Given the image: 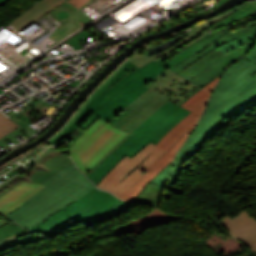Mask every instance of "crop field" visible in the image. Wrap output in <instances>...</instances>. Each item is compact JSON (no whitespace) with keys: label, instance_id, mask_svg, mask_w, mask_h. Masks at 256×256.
<instances>
[{"label":"crop field","instance_id":"obj_1","mask_svg":"<svg viewBox=\"0 0 256 256\" xmlns=\"http://www.w3.org/2000/svg\"><path fill=\"white\" fill-rule=\"evenodd\" d=\"M40 184L47 187L7 217L51 238L80 222L87 228L115 217L132 205L95 188L74 163Z\"/></svg>","mask_w":256,"mask_h":256},{"label":"crop field","instance_id":"obj_2","mask_svg":"<svg viewBox=\"0 0 256 256\" xmlns=\"http://www.w3.org/2000/svg\"><path fill=\"white\" fill-rule=\"evenodd\" d=\"M166 69L156 61L141 68L125 61L89 96L67 124L47 141V144L66 138L72 139L73 141L66 148L67 151L92 122L98 118L106 122L110 120L148 91L149 89L143 85Z\"/></svg>","mask_w":256,"mask_h":256},{"label":"crop field","instance_id":"obj_3","mask_svg":"<svg viewBox=\"0 0 256 256\" xmlns=\"http://www.w3.org/2000/svg\"><path fill=\"white\" fill-rule=\"evenodd\" d=\"M254 104L256 64L242 58L229 67L219 80L199 124L178 152L174 164L180 166L196 153L204 140L224 123V119H229Z\"/></svg>","mask_w":256,"mask_h":256},{"label":"crop field","instance_id":"obj_4","mask_svg":"<svg viewBox=\"0 0 256 256\" xmlns=\"http://www.w3.org/2000/svg\"><path fill=\"white\" fill-rule=\"evenodd\" d=\"M218 76L213 82L198 91L182 107L191 111L192 113L175 125L156 145L166 150L167 152L149 169L142 178L125 191L119 198L132 201L138 193L149 183L161 170H163L175 157L178 150L186 140L187 136L196 126L201 113L207 103L209 95L218 81Z\"/></svg>","mask_w":256,"mask_h":256},{"label":"crop field","instance_id":"obj_5","mask_svg":"<svg viewBox=\"0 0 256 256\" xmlns=\"http://www.w3.org/2000/svg\"><path fill=\"white\" fill-rule=\"evenodd\" d=\"M126 134L98 119L76 140L67 153L73 157L79 170L85 174Z\"/></svg>","mask_w":256,"mask_h":256},{"label":"crop field","instance_id":"obj_6","mask_svg":"<svg viewBox=\"0 0 256 256\" xmlns=\"http://www.w3.org/2000/svg\"><path fill=\"white\" fill-rule=\"evenodd\" d=\"M165 152L149 142L132 159L127 155L121 159L96 186L119 196L139 180L142 171L149 168Z\"/></svg>","mask_w":256,"mask_h":256},{"label":"crop field","instance_id":"obj_7","mask_svg":"<svg viewBox=\"0 0 256 256\" xmlns=\"http://www.w3.org/2000/svg\"><path fill=\"white\" fill-rule=\"evenodd\" d=\"M237 29L239 28L234 23H232L213 32L212 30H209L211 33H206L200 39L191 43L187 47H184L183 49L168 56L162 57L156 61L190 81L195 76L206 70L211 64L219 60L223 56V54L214 51L205 58H203L201 61L193 65L191 68L183 72L175 70V66L204 48L206 45Z\"/></svg>","mask_w":256,"mask_h":256},{"label":"crop field","instance_id":"obj_8","mask_svg":"<svg viewBox=\"0 0 256 256\" xmlns=\"http://www.w3.org/2000/svg\"><path fill=\"white\" fill-rule=\"evenodd\" d=\"M190 113L168 101L151 114L133 133L156 144L176 123Z\"/></svg>","mask_w":256,"mask_h":256},{"label":"crop field","instance_id":"obj_9","mask_svg":"<svg viewBox=\"0 0 256 256\" xmlns=\"http://www.w3.org/2000/svg\"><path fill=\"white\" fill-rule=\"evenodd\" d=\"M145 86L179 106L200 89L169 69Z\"/></svg>","mask_w":256,"mask_h":256},{"label":"crop field","instance_id":"obj_10","mask_svg":"<svg viewBox=\"0 0 256 256\" xmlns=\"http://www.w3.org/2000/svg\"><path fill=\"white\" fill-rule=\"evenodd\" d=\"M220 222L231 235L241 239L256 252V219L251 214L244 210L232 219L225 216Z\"/></svg>","mask_w":256,"mask_h":256},{"label":"crop field","instance_id":"obj_11","mask_svg":"<svg viewBox=\"0 0 256 256\" xmlns=\"http://www.w3.org/2000/svg\"><path fill=\"white\" fill-rule=\"evenodd\" d=\"M147 143L148 141L141 137L131 136L87 177L96 185L121 158L126 154L132 157Z\"/></svg>","mask_w":256,"mask_h":256},{"label":"crop field","instance_id":"obj_12","mask_svg":"<svg viewBox=\"0 0 256 256\" xmlns=\"http://www.w3.org/2000/svg\"><path fill=\"white\" fill-rule=\"evenodd\" d=\"M160 95L148 91L144 95H142L140 98H138L135 102H133L131 105H129L127 108H125L122 112H120L118 115H116L114 118H112L109 123L110 125L119 128L123 131L129 132L125 138H123L111 151H109L96 165H94L91 170L93 171L100 163H102L119 145H121L126 139H128L133 133L129 130H126L122 128L121 126L125 124L128 120H130L133 116H135L138 112H140L142 109H144L147 105H149L152 101H154L157 97ZM139 114V113H138ZM134 118V117H133ZM129 122V121H128ZM124 126V125H123ZM91 171V172H92ZM88 171L85 175H89L91 173Z\"/></svg>","mask_w":256,"mask_h":256},{"label":"crop field","instance_id":"obj_13","mask_svg":"<svg viewBox=\"0 0 256 256\" xmlns=\"http://www.w3.org/2000/svg\"><path fill=\"white\" fill-rule=\"evenodd\" d=\"M45 186L23 182L0 198V213L8 215Z\"/></svg>","mask_w":256,"mask_h":256},{"label":"crop field","instance_id":"obj_14","mask_svg":"<svg viewBox=\"0 0 256 256\" xmlns=\"http://www.w3.org/2000/svg\"><path fill=\"white\" fill-rule=\"evenodd\" d=\"M65 1L67 0H41L11 23L18 32Z\"/></svg>","mask_w":256,"mask_h":256},{"label":"crop field","instance_id":"obj_15","mask_svg":"<svg viewBox=\"0 0 256 256\" xmlns=\"http://www.w3.org/2000/svg\"><path fill=\"white\" fill-rule=\"evenodd\" d=\"M255 41L252 43L236 50L233 51L227 56L223 57L219 62H217L215 65H213L211 68H209L207 71H205L203 74H201L199 77H197L195 80L192 82L196 83L200 87L204 86L207 84L209 81L214 79L216 76H218L223 68H225L232 60L235 61V59L243 56L249 48L253 45ZM223 71V70H222Z\"/></svg>","mask_w":256,"mask_h":256},{"label":"crop field","instance_id":"obj_16","mask_svg":"<svg viewBox=\"0 0 256 256\" xmlns=\"http://www.w3.org/2000/svg\"><path fill=\"white\" fill-rule=\"evenodd\" d=\"M52 174L53 173L37 165H34L30 169H28L22 176L18 174L11 180L0 185V197L9 192L10 190H12L14 187L19 185L23 181L30 183H40L49 176H51Z\"/></svg>","mask_w":256,"mask_h":256},{"label":"crop field","instance_id":"obj_17","mask_svg":"<svg viewBox=\"0 0 256 256\" xmlns=\"http://www.w3.org/2000/svg\"><path fill=\"white\" fill-rule=\"evenodd\" d=\"M33 163L55 173L72 163V160L66 154L49 147Z\"/></svg>","mask_w":256,"mask_h":256},{"label":"crop field","instance_id":"obj_18","mask_svg":"<svg viewBox=\"0 0 256 256\" xmlns=\"http://www.w3.org/2000/svg\"><path fill=\"white\" fill-rule=\"evenodd\" d=\"M88 6V5H86ZM84 6V7H86ZM83 7V8H84ZM81 10V9H80ZM94 20V18H90L88 15L85 13L79 11L75 15L69 17L68 19L62 21L61 23L63 24L62 26H59L52 34L50 37L56 35L57 37L54 38L53 40L55 41H60L63 39L65 36L70 34L71 32L75 31L76 29L80 28V26H84L90 21Z\"/></svg>","mask_w":256,"mask_h":256},{"label":"crop field","instance_id":"obj_19","mask_svg":"<svg viewBox=\"0 0 256 256\" xmlns=\"http://www.w3.org/2000/svg\"><path fill=\"white\" fill-rule=\"evenodd\" d=\"M256 30V27L250 29V30H245V29H239L233 33H231L230 35L224 37L223 39L209 45L207 48H205L203 51H201L200 53L196 54L195 56H193L192 58H190L189 60H187L186 62H184L183 64L177 66V69L183 71L184 69H186L188 66H190L191 64H193L195 61L199 60L201 57L205 56L206 54H208L209 52L215 50L216 48L226 44L228 41H231L235 38L241 37L249 32H252Z\"/></svg>","mask_w":256,"mask_h":256},{"label":"crop field","instance_id":"obj_20","mask_svg":"<svg viewBox=\"0 0 256 256\" xmlns=\"http://www.w3.org/2000/svg\"><path fill=\"white\" fill-rule=\"evenodd\" d=\"M253 2L251 3H248L244 6H247L249 4H252ZM243 6V7H244ZM242 8V7H241ZM240 9V8H239ZM238 10V9H237ZM236 11V10H235ZM234 11L230 12V13H227L225 15H222L220 17H217L215 19H212L208 22H205L201 25H198L196 26L190 33H188L189 37L187 39H185L184 41H182L181 43H179L178 45H176L175 47H173L172 49L168 50L167 52L165 53H162V54H158V55H154V56H150L151 58H154V59H157L163 55H166L168 53H171L183 46H185L186 44L196 40L197 38H199L207 29H209L212 25H214L215 23L221 21L222 19H224L225 17H227L228 15H230L231 13H233ZM187 46V45H186Z\"/></svg>","mask_w":256,"mask_h":256},{"label":"crop field","instance_id":"obj_21","mask_svg":"<svg viewBox=\"0 0 256 256\" xmlns=\"http://www.w3.org/2000/svg\"><path fill=\"white\" fill-rule=\"evenodd\" d=\"M168 100L163 97L157 98L154 102H152L149 106H147L144 110H142L139 114H137L134 118H132L129 122H127L124 128H127L133 131L140 123H142L152 112L161 107Z\"/></svg>","mask_w":256,"mask_h":256},{"label":"crop field","instance_id":"obj_22","mask_svg":"<svg viewBox=\"0 0 256 256\" xmlns=\"http://www.w3.org/2000/svg\"><path fill=\"white\" fill-rule=\"evenodd\" d=\"M253 39H256V31L249 33V34H247L241 38H238L234 41H231V42L227 43L226 45L218 48L217 50L226 54L227 52L232 51Z\"/></svg>","mask_w":256,"mask_h":256},{"label":"crop field","instance_id":"obj_23","mask_svg":"<svg viewBox=\"0 0 256 256\" xmlns=\"http://www.w3.org/2000/svg\"><path fill=\"white\" fill-rule=\"evenodd\" d=\"M78 9L75 8L71 3L68 1L63 3L62 5L58 6L56 9H54L53 12L55 15H57L62 20L65 19L67 16L75 13Z\"/></svg>","mask_w":256,"mask_h":256},{"label":"crop field","instance_id":"obj_24","mask_svg":"<svg viewBox=\"0 0 256 256\" xmlns=\"http://www.w3.org/2000/svg\"><path fill=\"white\" fill-rule=\"evenodd\" d=\"M29 233H32V231L26 230V231H23V232H20V233L13 234V235H11V236L3 239V240H0V251L18 244L19 242L17 241L16 238L24 236V235L29 234Z\"/></svg>","mask_w":256,"mask_h":256},{"label":"crop field","instance_id":"obj_25","mask_svg":"<svg viewBox=\"0 0 256 256\" xmlns=\"http://www.w3.org/2000/svg\"><path fill=\"white\" fill-rule=\"evenodd\" d=\"M19 127L13 121L0 113V137Z\"/></svg>","mask_w":256,"mask_h":256},{"label":"crop field","instance_id":"obj_26","mask_svg":"<svg viewBox=\"0 0 256 256\" xmlns=\"http://www.w3.org/2000/svg\"><path fill=\"white\" fill-rule=\"evenodd\" d=\"M94 37L92 34H90L88 31H82L79 34L75 35L74 37L70 38L69 40H67L66 42L69 44H72V46L78 50V49H82L83 47L78 45L81 42Z\"/></svg>","mask_w":256,"mask_h":256},{"label":"crop field","instance_id":"obj_27","mask_svg":"<svg viewBox=\"0 0 256 256\" xmlns=\"http://www.w3.org/2000/svg\"><path fill=\"white\" fill-rule=\"evenodd\" d=\"M3 218H5V217H3ZM5 219L10 221L11 223L0 228V239L4 238L12 233H16V232L25 230L22 227H20L19 225L13 223L11 220H9L7 218H5Z\"/></svg>","mask_w":256,"mask_h":256},{"label":"crop field","instance_id":"obj_28","mask_svg":"<svg viewBox=\"0 0 256 256\" xmlns=\"http://www.w3.org/2000/svg\"><path fill=\"white\" fill-rule=\"evenodd\" d=\"M24 133L27 136H32L30 135L28 132H26L24 129H22L21 127H19L18 129L10 132L9 134L5 135L4 137L0 138V146H2L4 149L10 147L7 143H5L3 140L6 139L7 137L12 140L15 144L20 143V141H18L14 136L19 134V133ZM11 141V142H12Z\"/></svg>","mask_w":256,"mask_h":256},{"label":"crop field","instance_id":"obj_29","mask_svg":"<svg viewBox=\"0 0 256 256\" xmlns=\"http://www.w3.org/2000/svg\"><path fill=\"white\" fill-rule=\"evenodd\" d=\"M171 170H172V163L169 166H167L163 171H161L151 182H154L156 184H159L165 187Z\"/></svg>","mask_w":256,"mask_h":256},{"label":"crop field","instance_id":"obj_30","mask_svg":"<svg viewBox=\"0 0 256 256\" xmlns=\"http://www.w3.org/2000/svg\"><path fill=\"white\" fill-rule=\"evenodd\" d=\"M127 61H129V62H131V63H133V64H135V65L141 67V66H143V65H145V64H147V63H149V62H151V61H153V60H150V59H148V58H146V57H143V56H141V55H138V54H136V53H133V54L127 59Z\"/></svg>","mask_w":256,"mask_h":256},{"label":"crop field","instance_id":"obj_31","mask_svg":"<svg viewBox=\"0 0 256 256\" xmlns=\"http://www.w3.org/2000/svg\"><path fill=\"white\" fill-rule=\"evenodd\" d=\"M43 238H45V237H40V236H38V235L32 233V234L26 235V236H24V237L18 238V241L20 242V244H21L22 246H24V245H27V244H29V243H32V242L41 240V239H43Z\"/></svg>","mask_w":256,"mask_h":256},{"label":"crop field","instance_id":"obj_32","mask_svg":"<svg viewBox=\"0 0 256 256\" xmlns=\"http://www.w3.org/2000/svg\"><path fill=\"white\" fill-rule=\"evenodd\" d=\"M242 21H243V23L245 24V28H247V29H249V28H251V27H253V26H255L256 25V21H255V19H253L252 17H247V18H244V19H242Z\"/></svg>","mask_w":256,"mask_h":256},{"label":"crop field","instance_id":"obj_33","mask_svg":"<svg viewBox=\"0 0 256 256\" xmlns=\"http://www.w3.org/2000/svg\"><path fill=\"white\" fill-rule=\"evenodd\" d=\"M245 57L256 63V43Z\"/></svg>","mask_w":256,"mask_h":256},{"label":"crop field","instance_id":"obj_34","mask_svg":"<svg viewBox=\"0 0 256 256\" xmlns=\"http://www.w3.org/2000/svg\"><path fill=\"white\" fill-rule=\"evenodd\" d=\"M180 170H181V169L176 168V167L174 166V171H173V173H172V175H171L170 183H169V186H168V189H169V190H170V187H171V185L173 184L174 180L176 179L177 175L179 174Z\"/></svg>","mask_w":256,"mask_h":256},{"label":"crop field","instance_id":"obj_35","mask_svg":"<svg viewBox=\"0 0 256 256\" xmlns=\"http://www.w3.org/2000/svg\"><path fill=\"white\" fill-rule=\"evenodd\" d=\"M89 0H69V2H71L75 7H77L78 9L80 7H82L86 2H88Z\"/></svg>","mask_w":256,"mask_h":256},{"label":"crop field","instance_id":"obj_36","mask_svg":"<svg viewBox=\"0 0 256 256\" xmlns=\"http://www.w3.org/2000/svg\"><path fill=\"white\" fill-rule=\"evenodd\" d=\"M7 223H9V222L4 220V219H2V218H0V227L5 225V224H7Z\"/></svg>","mask_w":256,"mask_h":256},{"label":"crop field","instance_id":"obj_37","mask_svg":"<svg viewBox=\"0 0 256 256\" xmlns=\"http://www.w3.org/2000/svg\"><path fill=\"white\" fill-rule=\"evenodd\" d=\"M79 83H80V81L76 80L74 83L71 84V86L76 87Z\"/></svg>","mask_w":256,"mask_h":256},{"label":"crop field","instance_id":"obj_38","mask_svg":"<svg viewBox=\"0 0 256 256\" xmlns=\"http://www.w3.org/2000/svg\"><path fill=\"white\" fill-rule=\"evenodd\" d=\"M8 0H0V6H2L5 2H7Z\"/></svg>","mask_w":256,"mask_h":256},{"label":"crop field","instance_id":"obj_39","mask_svg":"<svg viewBox=\"0 0 256 256\" xmlns=\"http://www.w3.org/2000/svg\"><path fill=\"white\" fill-rule=\"evenodd\" d=\"M0 217H3V216L0 215Z\"/></svg>","mask_w":256,"mask_h":256}]
</instances>
